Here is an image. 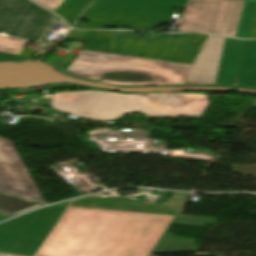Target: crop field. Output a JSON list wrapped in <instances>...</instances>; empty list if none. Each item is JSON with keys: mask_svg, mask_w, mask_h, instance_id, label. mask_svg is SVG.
Instances as JSON below:
<instances>
[{"mask_svg": "<svg viewBox=\"0 0 256 256\" xmlns=\"http://www.w3.org/2000/svg\"><path fill=\"white\" fill-rule=\"evenodd\" d=\"M174 218L69 206L37 256H149Z\"/></svg>", "mask_w": 256, "mask_h": 256, "instance_id": "crop-field-1", "label": "crop field"}, {"mask_svg": "<svg viewBox=\"0 0 256 256\" xmlns=\"http://www.w3.org/2000/svg\"><path fill=\"white\" fill-rule=\"evenodd\" d=\"M206 95L147 93L126 95L105 91H75L53 95L51 108L85 119L110 120L143 112L149 117H199L209 102Z\"/></svg>", "mask_w": 256, "mask_h": 256, "instance_id": "crop-field-2", "label": "crop field"}, {"mask_svg": "<svg viewBox=\"0 0 256 256\" xmlns=\"http://www.w3.org/2000/svg\"><path fill=\"white\" fill-rule=\"evenodd\" d=\"M69 39L87 42L83 49L125 54L161 61L193 64L207 35L161 34L153 39L119 36L112 31L70 30Z\"/></svg>", "mask_w": 256, "mask_h": 256, "instance_id": "crop-field-3", "label": "crop field"}, {"mask_svg": "<svg viewBox=\"0 0 256 256\" xmlns=\"http://www.w3.org/2000/svg\"><path fill=\"white\" fill-rule=\"evenodd\" d=\"M190 67L191 65L81 50L67 72L78 77L118 85H175L183 82ZM106 72L147 76L145 80L154 82H119L100 79ZM152 75L161 82L154 79Z\"/></svg>", "mask_w": 256, "mask_h": 256, "instance_id": "crop-field-4", "label": "crop field"}, {"mask_svg": "<svg viewBox=\"0 0 256 256\" xmlns=\"http://www.w3.org/2000/svg\"><path fill=\"white\" fill-rule=\"evenodd\" d=\"M187 0H95L81 16L89 20L83 29L121 24L133 30L153 31L156 24L170 22L175 6Z\"/></svg>", "mask_w": 256, "mask_h": 256, "instance_id": "crop-field-5", "label": "crop field"}, {"mask_svg": "<svg viewBox=\"0 0 256 256\" xmlns=\"http://www.w3.org/2000/svg\"><path fill=\"white\" fill-rule=\"evenodd\" d=\"M245 41L210 35L183 84L235 85Z\"/></svg>", "mask_w": 256, "mask_h": 256, "instance_id": "crop-field-6", "label": "crop field"}, {"mask_svg": "<svg viewBox=\"0 0 256 256\" xmlns=\"http://www.w3.org/2000/svg\"><path fill=\"white\" fill-rule=\"evenodd\" d=\"M67 206L53 205L0 225V251L34 256Z\"/></svg>", "mask_w": 256, "mask_h": 256, "instance_id": "crop-field-7", "label": "crop field"}, {"mask_svg": "<svg viewBox=\"0 0 256 256\" xmlns=\"http://www.w3.org/2000/svg\"><path fill=\"white\" fill-rule=\"evenodd\" d=\"M245 0H188L178 31L236 36Z\"/></svg>", "mask_w": 256, "mask_h": 256, "instance_id": "crop-field-8", "label": "crop field"}, {"mask_svg": "<svg viewBox=\"0 0 256 256\" xmlns=\"http://www.w3.org/2000/svg\"><path fill=\"white\" fill-rule=\"evenodd\" d=\"M53 15L29 0H0V31L40 41Z\"/></svg>", "mask_w": 256, "mask_h": 256, "instance_id": "crop-field-9", "label": "crop field"}, {"mask_svg": "<svg viewBox=\"0 0 256 256\" xmlns=\"http://www.w3.org/2000/svg\"><path fill=\"white\" fill-rule=\"evenodd\" d=\"M0 191L45 203L12 141L1 137Z\"/></svg>", "mask_w": 256, "mask_h": 256, "instance_id": "crop-field-10", "label": "crop field"}, {"mask_svg": "<svg viewBox=\"0 0 256 256\" xmlns=\"http://www.w3.org/2000/svg\"><path fill=\"white\" fill-rule=\"evenodd\" d=\"M188 195L189 194H186V193L175 192L160 214L177 215L178 211L182 207V205L185 202V200L187 199ZM119 198L120 197H109V198L88 197V198L76 200L71 205L128 210V211H139V212H150V211H144V210H137V209L113 206ZM150 213H157V212H150Z\"/></svg>", "mask_w": 256, "mask_h": 256, "instance_id": "crop-field-11", "label": "crop field"}, {"mask_svg": "<svg viewBox=\"0 0 256 256\" xmlns=\"http://www.w3.org/2000/svg\"><path fill=\"white\" fill-rule=\"evenodd\" d=\"M236 85L256 86V41H246Z\"/></svg>", "mask_w": 256, "mask_h": 256, "instance_id": "crop-field-12", "label": "crop field"}, {"mask_svg": "<svg viewBox=\"0 0 256 256\" xmlns=\"http://www.w3.org/2000/svg\"><path fill=\"white\" fill-rule=\"evenodd\" d=\"M196 240L175 237L174 234L164 233L152 253L198 251L199 246L193 245Z\"/></svg>", "mask_w": 256, "mask_h": 256, "instance_id": "crop-field-13", "label": "crop field"}, {"mask_svg": "<svg viewBox=\"0 0 256 256\" xmlns=\"http://www.w3.org/2000/svg\"><path fill=\"white\" fill-rule=\"evenodd\" d=\"M236 37L256 38V0L245 1Z\"/></svg>", "mask_w": 256, "mask_h": 256, "instance_id": "crop-field-14", "label": "crop field"}, {"mask_svg": "<svg viewBox=\"0 0 256 256\" xmlns=\"http://www.w3.org/2000/svg\"><path fill=\"white\" fill-rule=\"evenodd\" d=\"M91 1L92 0H64L55 12L61 14L68 22H74Z\"/></svg>", "mask_w": 256, "mask_h": 256, "instance_id": "crop-field-15", "label": "crop field"}, {"mask_svg": "<svg viewBox=\"0 0 256 256\" xmlns=\"http://www.w3.org/2000/svg\"><path fill=\"white\" fill-rule=\"evenodd\" d=\"M10 37L0 36V51L10 52L19 55L27 41L11 40Z\"/></svg>", "mask_w": 256, "mask_h": 256, "instance_id": "crop-field-16", "label": "crop field"}, {"mask_svg": "<svg viewBox=\"0 0 256 256\" xmlns=\"http://www.w3.org/2000/svg\"><path fill=\"white\" fill-rule=\"evenodd\" d=\"M115 205L150 210V211H157V212H161V210L163 209L162 206L153 205V204H149V203L144 204L140 201H136V200H132V199L124 198V197H121Z\"/></svg>", "mask_w": 256, "mask_h": 256, "instance_id": "crop-field-17", "label": "crop field"}, {"mask_svg": "<svg viewBox=\"0 0 256 256\" xmlns=\"http://www.w3.org/2000/svg\"><path fill=\"white\" fill-rule=\"evenodd\" d=\"M217 219L178 216L173 224L205 227L206 223L214 224Z\"/></svg>", "mask_w": 256, "mask_h": 256, "instance_id": "crop-field-18", "label": "crop field"}, {"mask_svg": "<svg viewBox=\"0 0 256 256\" xmlns=\"http://www.w3.org/2000/svg\"><path fill=\"white\" fill-rule=\"evenodd\" d=\"M36 1L55 11L56 8L61 4L63 0H36Z\"/></svg>", "mask_w": 256, "mask_h": 256, "instance_id": "crop-field-19", "label": "crop field"}, {"mask_svg": "<svg viewBox=\"0 0 256 256\" xmlns=\"http://www.w3.org/2000/svg\"><path fill=\"white\" fill-rule=\"evenodd\" d=\"M17 55H13L10 53L0 52V60H7V59H16Z\"/></svg>", "mask_w": 256, "mask_h": 256, "instance_id": "crop-field-20", "label": "crop field"}, {"mask_svg": "<svg viewBox=\"0 0 256 256\" xmlns=\"http://www.w3.org/2000/svg\"><path fill=\"white\" fill-rule=\"evenodd\" d=\"M12 216H14V215H10V214L0 212V221L4 220L6 218L12 217Z\"/></svg>", "mask_w": 256, "mask_h": 256, "instance_id": "crop-field-21", "label": "crop field"}, {"mask_svg": "<svg viewBox=\"0 0 256 256\" xmlns=\"http://www.w3.org/2000/svg\"><path fill=\"white\" fill-rule=\"evenodd\" d=\"M70 201L64 202V203H60L62 205H69Z\"/></svg>", "mask_w": 256, "mask_h": 256, "instance_id": "crop-field-22", "label": "crop field"}, {"mask_svg": "<svg viewBox=\"0 0 256 256\" xmlns=\"http://www.w3.org/2000/svg\"><path fill=\"white\" fill-rule=\"evenodd\" d=\"M150 256H155V255L150 254Z\"/></svg>", "mask_w": 256, "mask_h": 256, "instance_id": "crop-field-23", "label": "crop field"}]
</instances>
